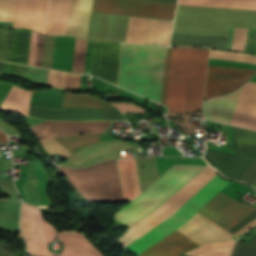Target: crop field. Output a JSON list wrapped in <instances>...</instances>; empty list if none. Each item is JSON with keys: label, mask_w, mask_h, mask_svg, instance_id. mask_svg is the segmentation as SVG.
<instances>
[{"label": "crop field", "mask_w": 256, "mask_h": 256, "mask_svg": "<svg viewBox=\"0 0 256 256\" xmlns=\"http://www.w3.org/2000/svg\"><path fill=\"white\" fill-rule=\"evenodd\" d=\"M207 59L205 48L167 47L161 104L168 112L201 110Z\"/></svg>", "instance_id": "crop-field-3"}, {"label": "crop field", "mask_w": 256, "mask_h": 256, "mask_svg": "<svg viewBox=\"0 0 256 256\" xmlns=\"http://www.w3.org/2000/svg\"><path fill=\"white\" fill-rule=\"evenodd\" d=\"M39 207H50V206H39Z\"/></svg>", "instance_id": "crop-field-38"}, {"label": "crop field", "mask_w": 256, "mask_h": 256, "mask_svg": "<svg viewBox=\"0 0 256 256\" xmlns=\"http://www.w3.org/2000/svg\"><path fill=\"white\" fill-rule=\"evenodd\" d=\"M44 38V34L32 31L28 64L40 67Z\"/></svg>", "instance_id": "crop-field-23"}, {"label": "crop field", "mask_w": 256, "mask_h": 256, "mask_svg": "<svg viewBox=\"0 0 256 256\" xmlns=\"http://www.w3.org/2000/svg\"><path fill=\"white\" fill-rule=\"evenodd\" d=\"M0 157H2L1 154H0Z\"/></svg>", "instance_id": "crop-field-39"}, {"label": "crop field", "mask_w": 256, "mask_h": 256, "mask_svg": "<svg viewBox=\"0 0 256 256\" xmlns=\"http://www.w3.org/2000/svg\"><path fill=\"white\" fill-rule=\"evenodd\" d=\"M247 31L248 29L235 28L231 50L243 52Z\"/></svg>", "instance_id": "crop-field-30"}, {"label": "crop field", "mask_w": 256, "mask_h": 256, "mask_svg": "<svg viewBox=\"0 0 256 256\" xmlns=\"http://www.w3.org/2000/svg\"><path fill=\"white\" fill-rule=\"evenodd\" d=\"M256 218V211L254 213H252L250 216H248L247 218H245L243 221H241L240 223H238L236 226H234L233 228H231L228 232L234 234L235 232H237L239 229H241L242 227H244L245 225H247L248 223H250L251 221H253Z\"/></svg>", "instance_id": "crop-field-34"}, {"label": "crop field", "mask_w": 256, "mask_h": 256, "mask_svg": "<svg viewBox=\"0 0 256 256\" xmlns=\"http://www.w3.org/2000/svg\"><path fill=\"white\" fill-rule=\"evenodd\" d=\"M17 0H0V21L13 22Z\"/></svg>", "instance_id": "crop-field-27"}, {"label": "crop field", "mask_w": 256, "mask_h": 256, "mask_svg": "<svg viewBox=\"0 0 256 256\" xmlns=\"http://www.w3.org/2000/svg\"><path fill=\"white\" fill-rule=\"evenodd\" d=\"M255 71L209 66L204 99L234 91Z\"/></svg>", "instance_id": "crop-field-9"}, {"label": "crop field", "mask_w": 256, "mask_h": 256, "mask_svg": "<svg viewBox=\"0 0 256 256\" xmlns=\"http://www.w3.org/2000/svg\"><path fill=\"white\" fill-rule=\"evenodd\" d=\"M48 0H18L13 28L42 32Z\"/></svg>", "instance_id": "crop-field-10"}, {"label": "crop field", "mask_w": 256, "mask_h": 256, "mask_svg": "<svg viewBox=\"0 0 256 256\" xmlns=\"http://www.w3.org/2000/svg\"><path fill=\"white\" fill-rule=\"evenodd\" d=\"M93 0H72L65 35L85 38Z\"/></svg>", "instance_id": "crop-field-13"}, {"label": "crop field", "mask_w": 256, "mask_h": 256, "mask_svg": "<svg viewBox=\"0 0 256 256\" xmlns=\"http://www.w3.org/2000/svg\"><path fill=\"white\" fill-rule=\"evenodd\" d=\"M5 64L6 63L0 62V73L1 74H3V72H4ZM26 67L27 66H24V65L14 64L9 75L22 78Z\"/></svg>", "instance_id": "crop-field-33"}, {"label": "crop field", "mask_w": 256, "mask_h": 256, "mask_svg": "<svg viewBox=\"0 0 256 256\" xmlns=\"http://www.w3.org/2000/svg\"><path fill=\"white\" fill-rule=\"evenodd\" d=\"M58 168L89 202L123 201L116 161L82 170Z\"/></svg>", "instance_id": "crop-field-6"}, {"label": "crop field", "mask_w": 256, "mask_h": 256, "mask_svg": "<svg viewBox=\"0 0 256 256\" xmlns=\"http://www.w3.org/2000/svg\"><path fill=\"white\" fill-rule=\"evenodd\" d=\"M100 134L94 135H73L55 138L59 141L68 151L75 153L79 149L99 141Z\"/></svg>", "instance_id": "crop-field-21"}, {"label": "crop field", "mask_w": 256, "mask_h": 256, "mask_svg": "<svg viewBox=\"0 0 256 256\" xmlns=\"http://www.w3.org/2000/svg\"><path fill=\"white\" fill-rule=\"evenodd\" d=\"M65 245L61 256H102L82 234L59 233Z\"/></svg>", "instance_id": "crop-field-15"}, {"label": "crop field", "mask_w": 256, "mask_h": 256, "mask_svg": "<svg viewBox=\"0 0 256 256\" xmlns=\"http://www.w3.org/2000/svg\"><path fill=\"white\" fill-rule=\"evenodd\" d=\"M173 21L150 19L144 44L168 46Z\"/></svg>", "instance_id": "crop-field-17"}, {"label": "crop field", "mask_w": 256, "mask_h": 256, "mask_svg": "<svg viewBox=\"0 0 256 256\" xmlns=\"http://www.w3.org/2000/svg\"><path fill=\"white\" fill-rule=\"evenodd\" d=\"M86 44H87L86 40L76 38L73 67H72V71L74 72L83 73Z\"/></svg>", "instance_id": "crop-field-25"}, {"label": "crop field", "mask_w": 256, "mask_h": 256, "mask_svg": "<svg viewBox=\"0 0 256 256\" xmlns=\"http://www.w3.org/2000/svg\"><path fill=\"white\" fill-rule=\"evenodd\" d=\"M21 90V88L12 86V88L0 104V110L4 112H12ZM30 94L31 92L22 90L12 113L27 116Z\"/></svg>", "instance_id": "crop-field-16"}, {"label": "crop field", "mask_w": 256, "mask_h": 256, "mask_svg": "<svg viewBox=\"0 0 256 256\" xmlns=\"http://www.w3.org/2000/svg\"><path fill=\"white\" fill-rule=\"evenodd\" d=\"M71 0H50L44 33L64 35Z\"/></svg>", "instance_id": "crop-field-14"}, {"label": "crop field", "mask_w": 256, "mask_h": 256, "mask_svg": "<svg viewBox=\"0 0 256 256\" xmlns=\"http://www.w3.org/2000/svg\"><path fill=\"white\" fill-rule=\"evenodd\" d=\"M149 19L130 17L125 42L143 44Z\"/></svg>", "instance_id": "crop-field-22"}, {"label": "crop field", "mask_w": 256, "mask_h": 256, "mask_svg": "<svg viewBox=\"0 0 256 256\" xmlns=\"http://www.w3.org/2000/svg\"><path fill=\"white\" fill-rule=\"evenodd\" d=\"M65 72L49 70L47 85L63 88Z\"/></svg>", "instance_id": "crop-field-31"}, {"label": "crop field", "mask_w": 256, "mask_h": 256, "mask_svg": "<svg viewBox=\"0 0 256 256\" xmlns=\"http://www.w3.org/2000/svg\"><path fill=\"white\" fill-rule=\"evenodd\" d=\"M231 124L256 131V83H245Z\"/></svg>", "instance_id": "crop-field-11"}, {"label": "crop field", "mask_w": 256, "mask_h": 256, "mask_svg": "<svg viewBox=\"0 0 256 256\" xmlns=\"http://www.w3.org/2000/svg\"><path fill=\"white\" fill-rule=\"evenodd\" d=\"M0 139H1V142H7L6 135H4L1 131H0Z\"/></svg>", "instance_id": "crop-field-36"}, {"label": "crop field", "mask_w": 256, "mask_h": 256, "mask_svg": "<svg viewBox=\"0 0 256 256\" xmlns=\"http://www.w3.org/2000/svg\"><path fill=\"white\" fill-rule=\"evenodd\" d=\"M204 167L173 165L132 202L117 211L113 217L123 224L132 225L137 220L152 212Z\"/></svg>", "instance_id": "crop-field-5"}, {"label": "crop field", "mask_w": 256, "mask_h": 256, "mask_svg": "<svg viewBox=\"0 0 256 256\" xmlns=\"http://www.w3.org/2000/svg\"><path fill=\"white\" fill-rule=\"evenodd\" d=\"M47 223V222H46ZM41 218L40 210L23 203L21 229L28 251L36 256H56L48 252L46 243L56 237V230Z\"/></svg>", "instance_id": "crop-field-7"}, {"label": "crop field", "mask_w": 256, "mask_h": 256, "mask_svg": "<svg viewBox=\"0 0 256 256\" xmlns=\"http://www.w3.org/2000/svg\"><path fill=\"white\" fill-rule=\"evenodd\" d=\"M39 141L43 145V147L48 151V153L51 155L57 153L67 158L71 154L61 144H59L54 138L43 139Z\"/></svg>", "instance_id": "crop-field-28"}, {"label": "crop field", "mask_w": 256, "mask_h": 256, "mask_svg": "<svg viewBox=\"0 0 256 256\" xmlns=\"http://www.w3.org/2000/svg\"><path fill=\"white\" fill-rule=\"evenodd\" d=\"M215 175L216 172L214 169L207 166L162 206L132 225L127 232L116 241L123 248L126 247L142 234L172 216L189 198H191ZM229 183V181L222 180L218 175H216L191 199H189L172 217L148 231L124 249L135 256L138 255L146 248L185 224L200 208H202Z\"/></svg>", "instance_id": "crop-field-1"}, {"label": "crop field", "mask_w": 256, "mask_h": 256, "mask_svg": "<svg viewBox=\"0 0 256 256\" xmlns=\"http://www.w3.org/2000/svg\"><path fill=\"white\" fill-rule=\"evenodd\" d=\"M210 58L237 60V61H243V62L256 63L255 56L248 55V54H242V53H234V52L211 50Z\"/></svg>", "instance_id": "crop-field-26"}, {"label": "crop field", "mask_w": 256, "mask_h": 256, "mask_svg": "<svg viewBox=\"0 0 256 256\" xmlns=\"http://www.w3.org/2000/svg\"><path fill=\"white\" fill-rule=\"evenodd\" d=\"M63 106L117 109L104 101L96 99L93 96L71 94H65Z\"/></svg>", "instance_id": "crop-field-19"}, {"label": "crop field", "mask_w": 256, "mask_h": 256, "mask_svg": "<svg viewBox=\"0 0 256 256\" xmlns=\"http://www.w3.org/2000/svg\"><path fill=\"white\" fill-rule=\"evenodd\" d=\"M234 243V241L229 240L223 243L207 244L186 254L191 256H228Z\"/></svg>", "instance_id": "crop-field-20"}, {"label": "crop field", "mask_w": 256, "mask_h": 256, "mask_svg": "<svg viewBox=\"0 0 256 256\" xmlns=\"http://www.w3.org/2000/svg\"><path fill=\"white\" fill-rule=\"evenodd\" d=\"M231 256H248V244L237 241ZM249 256H256V236L249 243Z\"/></svg>", "instance_id": "crop-field-29"}, {"label": "crop field", "mask_w": 256, "mask_h": 256, "mask_svg": "<svg viewBox=\"0 0 256 256\" xmlns=\"http://www.w3.org/2000/svg\"><path fill=\"white\" fill-rule=\"evenodd\" d=\"M184 256V255H183Z\"/></svg>", "instance_id": "crop-field-40"}, {"label": "crop field", "mask_w": 256, "mask_h": 256, "mask_svg": "<svg viewBox=\"0 0 256 256\" xmlns=\"http://www.w3.org/2000/svg\"><path fill=\"white\" fill-rule=\"evenodd\" d=\"M147 1H159V2H171V3H176L177 0H147Z\"/></svg>", "instance_id": "crop-field-37"}, {"label": "crop field", "mask_w": 256, "mask_h": 256, "mask_svg": "<svg viewBox=\"0 0 256 256\" xmlns=\"http://www.w3.org/2000/svg\"><path fill=\"white\" fill-rule=\"evenodd\" d=\"M179 4L256 10V0H179Z\"/></svg>", "instance_id": "crop-field-18"}, {"label": "crop field", "mask_w": 256, "mask_h": 256, "mask_svg": "<svg viewBox=\"0 0 256 256\" xmlns=\"http://www.w3.org/2000/svg\"><path fill=\"white\" fill-rule=\"evenodd\" d=\"M242 88L231 95L207 100L204 105L205 118L230 124Z\"/></svg>", "instance_id": "crop-field-12"}, {"label": "crop field", "mask_w": 256, "mask_h": 256, "mask_svg": "<svg viewBox=\"0 0 256 256\" xmlns=\"http://www.w3.org/2000/svg\"><path fill=\"white\" fill-rule=\"evenodd\" d=\"M255 209L252 205L242 204L220 192L198 213L225 230H229ZM199 214L179 229L202 244L223 241L232 237V234ZM180 230H176L138 256H181L202 245Z\"/></svg>", "instance_id": "crop-field-2"}, {"label": "crop field", "mask_w": 256, "mask_h": 256, "mask_svg": "<svg viewBox=\"0 0 256 256\" xmlns=\"http://www.w3.org/2000/svg\"><path fill=\"white\" fill-rule=\"evenodd\" d=\"M166 47L122 43L118 85L160 103Z\"/></svg>", "instance_id": "crop-field-4"}, {"label": "crop field", "mask_w": 256, "mask_h": 256, "mask_svg": "<svg viewBox=\"0 0 256 256\" xmlns=\"http://www.w3.org/2000/svg\"><path fill=\"white\" fill-rule=\"evenodd\" d=\"M15 30L0 28V60L10 62Z\"/></svg>", "instance_id": "crop-field-24"}, {"label": "crop field", "mask_w": 256, "mask_h": 256, "mask_svg": "<svg viewBox=\"0 0 256 256\" xmlns=\"http://www.w3.org/2000/svg\"><path fill=\"white\" fill-rule=\"evenodd\" d=\"M64 88L80 89V75L66 73Z\"/></svg>", "instance_id": "crop-field-32"}, {"label": "crop field", "mask_w": 256, "mask_h": 256, "mask_svg": "<svg viewBox=\"0 0 256 256\" xmlns=\"http://www.w3.org/2000/svg\"><path fill=\"white\" fill-rule=\"evenodd\" d=\"M175 6L135 0H94L92 12L173 19Z\"/></svg>", "instance_id": "crop-field-8"}, {"label": "crop field", "mask_w": 256, "mask_h": 256, "mask_svg": "<svg viewBox=\"0 0 256 256\" xmlns=\"http://www.w3.org/2000/svg\"><path fill=\"white\" fill-rule=\"evenodd\" d=\"M256 224V220H254L253 222H251L250 224H248L246 227H244L242 230H240L239 232H237L236 234H234L236 237L238 235H240L241 233H243L244 231L248 230L249 228H251L252 226H254Z\"/></svg>", "instance_id": "crop-field-35"}]
</instances>
